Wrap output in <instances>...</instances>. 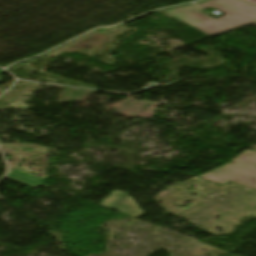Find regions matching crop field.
<instances>
[{
	"instance_id": "obj_1",
	"label": "crop field",
	"mask_w": 256,
	"mask_h": 256,
	"mask_svg": "<svg viewBox=\"0 0 256 256\" xmlns=\"http://www.w3.org/2000/svg\"><path fill=\"white\" fill-rule=\"evenodd\" d=\"M213 7L225 16L215 20L204 14L201 8ZM187 6L163 10L164 13L214 36L256 22V5L240 0H209Z\"/></svg>"
},
{
	"instance_id": "obj_2",
	"label": "crop field",
	"mask_w": 256,
	"mask_h": 256,
	"mask_svg": "<svg viewBox=\"0 0 256 256\" xmlns=\"http://www.w3.org/2000/svg\"><path fill=\"white\" fill-rule=\"evenodd\" d=\"M198 177L221 185L233 181L256 190V152L246 150L226 164ZM253 216L256 217V211Z\"/></svg>"
},
{
	"instance_id": "obj_3",
	"label": "crop field",
	"mask_w": 256,
	"mask_h": 256,
	"mask_svg": "<svg viewBox=\"0 0 256 256\" xmlns=\"http://www.w3.org/2000/svg\"><path fill=\"white\" fill-rule=\"evenodd\" d=\"M243 1H246V2H250V3L256 4V0H243Z\"/></svg>"
},
{
	"instance_id": "obj_4",
	"label": "crop field",
	"mask_w": 256,
	"mask_h": 256,
	"mask_svg": "<svg viewBox=\"0 0 256 256\" xmlns=\"http://www.w3.org/2000/svg\"><path fill=\"white\" fill-rule=\"evenodd\" d=\"M254 24H256V23H254Z\"/></svg>"
}]
</instances>
